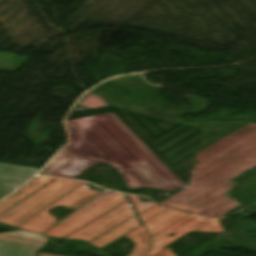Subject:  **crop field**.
<instances>
[{"instance_id": "ac0d7876", "label": "crop field", "mask_w": 256, "mask_h": 256, "mask_svg": "<svg viewBox=\"0 0 256 256\" xmlns=\"http://www.w3.org/2000/svg\"><path fill=\"white\" fill-rule=\"evenodd\" d=\"M256 166V124L222 122L203 131L190 187L161 205L220 217L239 206L230 181Z\"/></svg>"}, {"instance_id": "f4fd0767", "label": "crop field", "mask_w": 256, "mask_h": 256, "mask_svg": "<svg viewBox=\"0 0 256 256\" xmlns=\"http://www.w3.org/2000/svg\"><path fill=\"white\" fill-rule=\"evenodd\" d=\"M52 179H54V178H52V177H39V178L35 179L30 184H28L26 187L21 189L19 192H17L13 196H11L10 198H8L4 202H2L0 204V213L3 212L4 210H6L7 208H9L10 206H12L13 204H15L17 201H19L20 199H22L23 197H25L26 195H28L32 191L36 190L37 188H39L40 186L44 185L45 183L49 182ZM37 181L39 183L35 187H33L31 190H29Z\"/></svg>"}, {"instance_id": "dd49c442", "label": "crop field", "mask_w": 256, "mask_h": 256, "mask_svg": "<svg viewBox=\"0 0 256 256\" xmlns=\"http://www.w3.org/2000/svg\"><path fill=\"white\" fill-rule=\"evenodd\" d=\"M79 105L86 106L88 109H95L108 106L101 97L94 94H89L88 96H86Z\"/></svg>"}, {"instance_id": "e52e79f7", "label": "crop field", "mask_w": 256, "mask_h": 256, "mask_svg": "<svg viewBox=\"0 0 256 256\" xmlns=\"http://www.w3.org/2000/svg\"><path fill=\"white\" fill-rule=\"evenodd\" d=\"M38 256H57V255L39 254Z\"/></svg>"}, {"instance_id": "8a807250", "label": "crop field", "mask_w": 256, "mask_h": 256, "mask_svg": "<svg viewBox=\"0 0 256 256\" xmlns=\"http://www.w3.org/2000/svg\"><path fill=\"white\" fill-rule=\"evenodd\" d=\"M87 184L72 180L56 179L0 215V222L17 226L50 204V207L19 226V228L41 234L54 225L61 216L77 209L100 193L88 189ZM129 196L154 241L148 256H175L171 251H161V249L189 231H224L219 220L194 216L185 212L160 207L153 203H142L136 196ZM122 201L125 203L65 238L83 240L101 248L125 234L135 243L133 251L128 256H146L151 241L144 226H140L141 228L129 234L127 233L140 224L125 195L120 193H101L43 235L62 238ZM60 205L71 209L64 212L58 218H55L57 215L53 216L47 212L50 208ZM126 220L128 221L92 241ZM170 233H176V235L172 238L167 237Z\"/></svg>"}, {"instance_id": "34b2d1b8", "label": "crop field", "mask_w": 256, "mask_h": 256, "mask_svg": "<svg viewBox=\"0 0 256 256\" xmlns=\"http://www.w3.org/2000/svg\"><path fill=\"white\" fill-rule=\"evenodd\" d=\"M45 237L26 230L0 234V256H35L48 242Z\"/></svg>"}, {"instance_id": "412701ff", "label": "crop field", "mask_w": 256, "mask_h": 256, "mask_svg": "<svg viewBox=\"0 0 256 256\" xmlns=\"http://www.w3.org/2000/svg\"><path fill=\"white\" fill-rule=\"evenodd\" d=\"M39 170L0 163V199L7 196Z\"/></svg>"}]
</instances>
